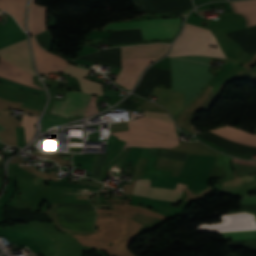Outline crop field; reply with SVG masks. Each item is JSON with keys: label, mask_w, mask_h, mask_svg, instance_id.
<instances>
[{"label": "crop field", "mask_w": 256, "mask_h": 256, "mask_svg": "<svg viewBox=\"0 0 256 256\" xmlns=\"http://www.w3.org/2000/svg\"><path fill=\"white\" fill-rule=\"evenodd\" d=\"M90 191H97V190H90Z\"/></svg>", "instance_id": "obj_20"}, {"label": "crop field", "mask_w": 256, "mask_h": 256, "mask_svg": "<svg viewBox=\"0 0 256 256\" xmlns=\"http://www.w3.org/2000/svg\"><path fill=\"white\" fill-rule=\"evenodd\" d=\"M0 9L9 12L24 27L26 0H0Z\"/></svg>", "instance_id": "obj_13"}, {"label": "crop field", "mask_w": 256, "mask_h": 256, "mask_svg": "<svg viewBox=\"0 0 256 256\" xmlns=\"http://www.w3.org/2000/svg\"><path fill=\"white\" fill-rule=\"evenodd\" d=\"M70 121H72V120L45 113L43 118H42V129H41V131L45 132L47 129H49V128L55 126V125L67 123V122H70Z\"/></svg>", "instance_id": "obj_14"}, {"label": "crop field", "mask_w": 256, "mask_h": 256, "mask_svg": "<svg viewBox=\"0 0 256 256\" xmlns=\"http://www.w3.org/2000/svg\"><path fill=\"white\" fill-rule=\"evenodd\" d=\"M193 1H194L195 6H197V0H193Z\"/></svg>", "instance_id": "obj_19"}, {"label": "crop field", "mask_w": 256, "mask_h": 256, "mask_svg": "<svg viewBox=\"0 0 256 256\" xmlns=\"http://www.w3.org/2000/svg\"><path fill=\"white\" fill-rule=\"evenodd\" d=\"M144 116L153 117V118H157V119H160V120L172 122V120L169 117L168 113L145 111L144 112Z\"/></svg>", "instance_id": "obj_17"}, {"label": "crop field", "mask_w": 256, "mask_h": 256, "mask_svg": "<svg viewBox=\"0 0 256 256\" xmlns=\"http://www.w3.org/2000/svg\"><path fill=\"white\" fill-rule=\"evenodd\" d=\"M243 211L253 213L256 215V204L241 205L238 212H243ZM222 234L224 235L226 240L256 239V230L240 231V232H227V233H222ZM243 246H248L256 251V240H245Z\"/></svg>", "instance_id": "obj_11"}, {"label": "crop field", "mask_w": 256, "mask_h": 256, "mask_svg": "<svg viewBox=\"0 0 256 256\" xmlns=\"http://www.w3.org/2000/svg\"><path fill=\"white\" fill-rule=\"evenodd\" d=\"M89 70L90 69L87 67L73 66L69 64L68 68L64 71V73L76 78L82 87V91L93 93L96 95H102V84H98L90 80L84 79Z\"/></svg>", "instance_id": "obj_9"}, {"label": "crop field", "mask_w": 256, "mask_h": 256, "mask_svg": "<svg viewBox=\"0 0 256 256\" xmlns=\"http://www.w3.org/2000/svg\"><path fill=\"white\" fill-rule=\"evenodd\" d=\"M169 46L168 44H154L121 48L122 62L155 61L165 55ZM151 63H122V69L114 82L131 90L143 69Z\"/></svg>", "instance_id": "obj_2"}, {"label": "crop field", "mask_w": 256, "mask_h": 256, "mask_svg": "<svg viewBox=\"0 0 256 256\" xmlns=\"http://www.w3.org/2000/svg\"><path fill=\"white\" fill-rule=\"evenodd\" d=\"M179 18L153 19L134 23L110 24L104 30L138 29L141 28L144 40L173 38L180 24Z\"/></svg>", "instance_id": "obj_5"}, {"label": "crop field", "mask_w": 256, "mask_h": 256, "mask_svg": "<svg viewBox=\"0 0 256 256\" xmlns=\"http://www.w3.org/2000/svg\"><path fill=\"white\" fill-rule=\"evenodd\" d=\"M254 132H256V129H255V131Z\"/></svg>", "instance_id": "obj_21"}, {"label": "crop field", "mask_w": 256, "mask_h": 256, "mask_svg": "<svg viewBox=\"0 0 256 256\" xmlns=\"http://www.w3.org/2000/svg\"><path fill=\"white\" fill-rule=\"evenodd\" d=\"M0 77L41 89L33 85L32 75H36L31 66L27 40L20 41L0 49ZM43 90V89H42Z\"/></svg>", "instance_id": "obj_3"}, {"label": "crop field", "mask_w": 256, "mask_h": 256, "mask_svg": "<svg viewBox=\"0 0 256 256\" xmlns=\"http://www.w3.org/2000/svg\"><path fill=\"white\" fill-rule=\"evenodd\" d=\"M129 128H142L158 132H163L176 136L175 128L172 123L142 117L131 122H127ZM142 129H129V131L114 132L118 139L127 141V146H141V147H173L179 144L178 139L174 136L142 130ZM124 147V148H125Z\"/></svg>", "instance_id": "obj_1"}, {"label": "crop field", "mask_w": 256, "mask_h": 256, "mask_svg": "<svg viewBox=\"0 0 256 256\" xmlns=\"http://www.w3.org/2000/svg\"><path fill=\"white\" fill-rule=\"evenodd\" d=\"M36 117L23 115L22 118V126H24L25 129V135H26V141H30L34 134V124L37 122Z\"/></svg>", "instance_id": "obj_15"}, {"label": "crop field", "mask_w": 256, "mask_h": 256, "mask_svg": "<svg viewBox=\"0 0 256 256\" xmlns=\"http://www.w3.org/2000/svg\"><path fill=\"white\" fill-rule=\"evenodd\" d=\"M184 187H186V185L178 183L175 190L154 188L150 187L149 179H141L136 181L133 194L139 196H148L150 198L156 199L172 200L177 202Z\"/></svg>", "instance_id": "obj_8"}, {"label": "crop field", "mask_w": 256, "mask_h": 256, "mask_svg": "<svg viewBox=\"0 0 256 256\" xmlns=\"http://www.w3.org/2000/svg\"><path fill=\"white\" fill-rule=\"evenodd\" d=\"M111 67L121 68L120 48H111L105 51L79 58Z\"/></svg>", "instance_id": "obj_12"}, {"label": "crop field", "mask_w": 256, "mask_h": 256, "mask_svg": "<svg viewBox=\"0 0 256 256\" xmlns=\"http://www.w3.org/2000/svg\"><path fill=\"white\" fill-rule=\"evenodd\" d=\"M90 96L81 92L68 91L64 102L54 101L51 113L69 118H72L74 113L84 115Z\"/></svg>", "instance_id": "obj_6"}, {"label": "crop field", "mask_w": 256, "mask_h": 256, "mask_svg": "<svg viewBox=\"0 0 256 256\" xmlns=\"http://www.w3.org/2000/svg\"><path fill=\"white\" fill-rule=\"evenodd\" d=\"M233 162H234V166L244 167V168H256V161H242L234 158ZM232 166H233V163H232ZM233 168L235 171L236 178L246 174H251L256 172V169H243V168H237V167H233ZM254 184H256V176L251 177L247 175V176L240 177L238 179L224 182L222 183V186H223V190L227 191V190L242 189Z\"/></svg>", "instance_id": "obj_7"}, {"label": "crop field", "mask_w": 256, "mask_h": 256, "mask_svg": "<svg viewBox=\"0 0 256 256\" xmlns=\"http://www.w3.org/2000/svg\"><path fill=\"white\" fill-rule=\"evenodd\" d=\"M144 101L145 100H143L135 95H130L124 102H122L120 105H118L115 108L135 110Z\"/></svg>", "instance_id": "obj_16"}, {"label": "crop field", "mask_w": 256, "mask_h": 256, "mask_svg": "<svg viewBox=\"0 0 256 256\" xmlns=\"http://www.w3.org/2000/svg\"><path fill=\"white\" fill-rule=\"evenodd\" d=\"M2 130H6V129L0 125V131H2ZM0 141H1V139H0Z\"/></svg>", "instance_id": "obj_18"}, {"label": "crop field", "mask_w": 256, "mask_h": 256, "mask_svg": "<svg viewBox=\"0 0 256 256\" xmlns=\"http://www.w3.org/2000/svg\"><path fill=\"white\" fill-rule=\"evenodd\" d=\"M168 55H206L226 58L209 30L187 23Z\"/></svg>", "instance_id": "obj_4"}, {"label": "crop field", "mask_w": 256, "mask_h": 256, "mask_svg": "<svg viewBox=\"0 0 256 256\" xmlns=\"http://www.w3.org/2000/svg\"><path fill=\"white\" fill-rule=\"evenodd\" d=\"M208 131L243 144L245 146L256 147V135L246 133L240 129L223 126Z\"/></svg>", "instance_id": "obj_10"}]
</instances>
